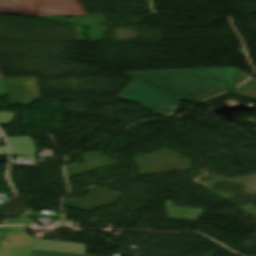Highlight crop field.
<instances>
[{
  "mask_svg": "<svg viewBox=\"0 0 256 256\" xmlns=\"http://www.w3.org/2000/svg\"><path fill=\"white\" fill-rule=\"evenodd\" d=\"M31 256H91V255H80V254H69V253L32 250Z\"/></svg>",
  "mask_w": 256,
  "mask_h": 256,
  "instance_id": "6",
  "label": "crop field"
},
{
  "mask_svg": "<svg viewBox=\"0 0 256 256\" xmlns=\"http://www.w3.org/2000/svg\"><path fill=\"white\" fill-rule=\"evenodd\" d=\"M169 218L197 221L204 210L173 207L172 201H165Z\"/></svg>",
  "mask_w": 256,
  "mask_h": 256,
  "instance_id": "4",
  "label": "crop field"
},
{
  "mask_svg": "<svg viewBox=\"0 0 256 256\" xmlns=\"http://www.w3.org/2000/svg\"><path fill=\"white\" fill-rule=\"evenodd\" d=\"M188 70L131 74L182 100L193 103L226 91Z\"/></svg>",
  "mask_w": 256,
  "mask_h": 256,
  "instance_id": "1",
  "label": "crop field"
},
{
  "mask_svg": "<svg viewBox=\"0 0 256 256\" xmlns=\"http://www.w3.org/2000/svg\"><path fill=\"white\" fill-rule=\"evenodd\" d=\"M0 78H2L1 74H0Z\"/></svg>",
  "mask_w": 256,
  "mask_h": 256,
  "instance_id": "9",
  "label": "crop field"
},
{
  "mask_svg": "<svg viewBox=\"0 0 256 256\" xmlns=\"http://www.w3.org/2000/svg\"><path fill=\"white\" fill-rule=\"evenodd\" d=\"M0 95H6L2 79H0Z\"/></svg>",
  "mask_w": 256,
  "mask_h": 256,
  "instance_id": "7",
  "label": "crop field"
},
{
  "mask_svg": "<svg viewBox=\"0 0 256 256\" xmlns=\"http://www.w3.org/2000/svg\"><path fill=\"white\" fill-rule=\"evenodd\" d=\"M229 93L256 100V79H249L244 84Z\"/></svg>",
  "mask_w": 256,
  "mask_h": 256,
  "instance_id": "5",
  "label": "crop field"
},
{
  "mask_svg": "<svg viewBox=\"0 0 256 256\" xmlns=\"http://www.w3.org/2000/svg\"><path fill=\"white\" fill-rule=\"evenodd\" d=\"M0 13L34 16L86 14L77 0H0Z\"/></svg>",
  "mask_w": 256,
  "mask_h": 256,
  "instance_id": "2",
  "label": "crop field"
},
{
  "mask_svg": "<svg viewBox=\"0 0 256 256\" xmlns=\"http://www.w3.org/2000/svg\"><path fill=\"white\" fill-rule=\"evenodd\" d=\"M123 75L133 80L117 96V99L136 102L160 116L173 115L179 100L127 73H124Z\"/></svg>",
  "mask_w": 256,
  "mask_h": 256,
  "instance_id": "3",
  "label": "crop field"
},
{
  "mask_svg": "<svg viewBox=\"0 0 256 256\" xmlns=\"http://www.w3.org/2000/svg\"><path fill=\"white\" fill-rule=\"evenodd\" d=\"M55 220L56 221H61V215L55 214Z\"/></svg>",
  "mask_w": 256,
  "mask_h": 256,
  "instance_id": "8",
  "label": "crop field"
}]
</instances>
